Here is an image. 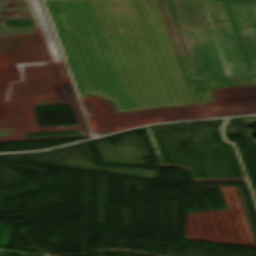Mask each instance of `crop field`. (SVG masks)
Returning <instances> with one entry per match:
<instances>
[{"mask_svg": "<svg viewBox=\"0 0 256 256\" xmlns=\"http://www.w3.org/2000/svg\"><path fill=\"white\" fill-rule=\"evenodd\" d=\"M82 93L114 102L119 113L193 104L171 40L93 45L76 40L62 0H47Z\"/></svg>", "mask_w": 256, "mask_h": 256, "instance_id": "crop-field-1", "label": "crop field"}, {"mask_svg": "<svg viewBox=\"0 0 256 256\" xmlns=\"http://www.w3.org/2000/svg\"><path fill=\"white\" fill-rule=\"evenodd\" d=\"M77 39L137 44L171 39L156 0H63Z\"/></svg>", "mask_w": 256, "mask_h": 256, "instance_id": "crop-field-2", "label": "crop field"}, {"mask_svg": "<svg viewBox=\"0 0 256 256\" xmlns=\"http://www.w3.org/2000/svg\"><path fill=\"white\" fill-rule=\"evenodd\" d=\"M249 74H256V1L222 0ZM221 76H226L209 30H204ZM228 76L247 74L230 29L211 30ZM199 78L218 77L202 30L182 31Z\"/></svg>", "mask_w": 256, "mask_h": 256, "instance_id": "crop-field-3", "label": "crop field"}, {"mask_svg": "<svg viewBox=\"0 0 256 256\" xmlns=\"http://www.w3.org/2000/svg\"><path fill=\"white\" fill-rule=\"evenodd\" d=\"M182 30L231 28L221 0H170Z\"/></svg>", "mask_w": 256, "mask_h": 256, "instance_id": "crop-field-4", "label": "crop field"}]
</instances>
